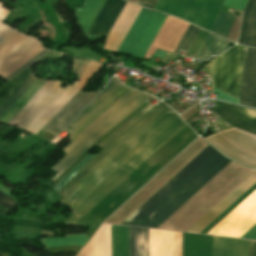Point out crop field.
<instances>
[{
    "label": "crop field",
    "instance_id": "1",
    "mask_svg": "<svg viewBox=\"0 0 256 256\" xmlns=\"http://www.w3.org/2000/svg\"><path fill=\"white\" fill-rule=\"evenodd\" d=\"M169 108L157 113L150 121L138 129L135 133L124 140L118 147H116L108 156H106L100 163L93 167L63 198L61 202H65L70 195L82 184V182L92 174L99 166L114 155L121 147H123L135 135L146 128L159 115L167 111ZM173 114L168 112L163 113L146 129L135 136L123 148H121L114 156H112L106 163L98 168L91 176H89L84 183L72 194V196L65 202V204L72 206L74 201L83 193V191L107 168L114 162L121 158L125 153L137 145L141 140L158 128L162 123L169 119ZM185 124L175 114L137 146L125 154L121 159L114 163L108 170H106L98 179H96L85 192L75 201L71 209L73 213L68 221L69 224H75L81 219L89 210H91L99 201H101L109 192H111L119 183H121L129 174H131L139 165H141L149 156H151L159 147H161L169 138H171L179 129Z\"/></svg>",
    "mask_w": 256,
    "mask_h": 256
},
{
    "label": "crop field",
    "instance_id": "2",
    "mask_svg": "<svg viewBox=\"0 0 256 256\" xmlns=\"http://www.w3.org/2000/svg\"><path fill=\"white\" fill-rule=\"evenodd\" d=\"M229 162L208 145L121 224L157 228Z\"/></svg>",
    "mask_w": 256,
    "mask_h": 256
},
{
    "label": "crop field",
    "instance_id": "3",
    "mask_svg": "<svg viewBox=\"0 0 256 256\" xmlns=\"http://www.w3.org/2000/svg\"><path fill=\"white\" fill-rule=\"evenodd\" d=\"M245 47L237 45L216 57L201 71L210 74L213 86L237 99L240 96ZM241 105L256 107V49L246 47Z\"/></svg>",
    "mask_w": 256,
    "mask_h": 256
},
{
    "label": "crop field",
    "instance_id": "4",
    "mask_svg": "<svg viewBox=\"0 0 256 256\" xmlns=\"http://www.w3.org/2000/svg\"><path fill=\"white\" fill-rule=\"evenodd\" d=\"M149 98L150 96L132 89H130L122 97H120L115 103H113L108 109H106L98 118H96L87 128H85L63 149L67 155L57 165L51 168L58 172L56 176L52 179V181L55 178H57L67 167H69L85 150H87L93 142H95L97 139L103 136L119 121L125 118L128 114H130L132 111L138 108ZM128 100L130 101L127 102ZM124 103L126 104L119 110L118 108L122 106ZM116 109H118L119 111H117L115 114H113L103 123H101ZM98 124L100 125L97 126ZM91 130L93 131L89 133ZM85 135L87 136L78 145H76L69 153H67Z\"/></svg>",
    "mask_w": 256,
    "mask_h": 256
},
{
    "label": "crop field",
    "instance_id": "5",
    "mask_svg": "<svg viewBox=\"0 0 256 256\" xmlns=\"http://www.w3.org/2000/svg\"><path fill=\"white\" fill-rule=\"evenodd\" d=\"M60 83L46 82L7 124L36 134L78 92L68 85L59 88Z\"/></svg>",
    "mask_w": 256,
    "mask_h": 256
},
{
    "label": "crop field",
    "instance_id": "6",
    "mask_svg": "<svg viewBox=\"0 0 256 256\" xmlns=\"http://www.w3.org/2000/svg\"><path fill=\"white\" fill-rule=\"evenodd\" d=\"M42 50L39 41L0 23V76L8 77Z\"/></svg>",
    "mask_w": 256,
    "mask_h": 256
},
{
    "label": "crop field",
    "instance_id": "7",
    "mask_svg": "<svg viewBox=\"0 0 256 256\" xmlns=\"http://www.w3.org/2000/svg\"><path fill=\"white\" fill-rule=\"evenodd\" d=\"M104 1L85 0L83 7H75L77 23L81 25L83 34H88ZM125 4L123 0H106L89 35H108Z\"/></svg>",
    "mask_w": 256,
    "mask_h": 256
},
{
    "label": "crop field",
    "instance_id": "8",
    "mask_svg": "<svg viewBox=\"0 0 256 256\" xmlns=\"http://www.w3.org/2000/svg\"><path fill=\"white\" fill-rule=\"evenodd\" d=\"M223 0H159L156 10L211 30Z\"/></svg>",
    "mask_w": 256,
    "mask_h": 256
},
{
    "label": "crop field",
    "instance_id": "9",
    "mask_svg": "<svg viewBox=\"0 0 256 256\" xmlns=\"http://www.w3.org/2000/svg\"><path fill=\"white\" fill-rule=\"evenodd\" d=\"M166 15L142 8L118 52L143 58Z\"/></svg>",
    "mask_w": 256,
    "mask_h": 256
},
{
    "label": "crop field",
    "instance_id": "10",
    "mask_svg": "<svg viewBox=\"0 0 256 256\" xmlns=\"http://www.w3.org/2000/svg\"><path fill=\"white\" fill-rule=\"evenodd\" d=\"M256 223V190L207 234L240 238ZM241 238L256 239V224Z\"/></svg>",
    "mask_w": 256,
    "mask_h": 256
},
{
    "label": "crop field",
    "instance_id": "11",
    "mask_svg": "<svg viewBox=\"0 0 256 256\" xmlns=\"http://www.w3.org/2000/svg\"><path fill=\"white\" fill-rule=\"evenodd\" d=\"M227 157L256 167V136L235 129L206 139Z\"/></svg>",
    "mask_w": 256,
    "mask_h": 256
},
{
    "label": "crop field",
    "instance_id": "12",
    "mask_svg": "<svg viewBox=\"0 0 256 256\" xmlns=\"http://www.w3.org/2000/svg\"><path fill=\"white\" fill-rule=\"evenodd\" d=\"M166 107L162 102L139 119L135 124L128 128L124 133L118 136L114 141H112L107 147H105L95 158H93L89 163H87L79 172H77L60 190L58 194L65 196V194L98 162H100L106 155H108L117 145H119L124 139L135 132L148 120H150L157 112Z\"/></svg>",
    "mask_w": 256,
    "mask_h": 256
},
{
    "label": "crop field",
    "instance_id": "13",
    "mask_svg": "<svg viewBox=\"0 0 256 256\" xmlns=\"http://www.w3.org/2000/svg\"><path fill=\"white\" fill-rule=\"evenodd\" d=\"M99 92L79 91L42 130L57 135Z\"/></svg>",
    "mask_w": 256,
    "mask_h": 256
},
{
    "label": "crop field",
    "instance_id": "14",
    "mask_svg": "<svg viewBox=\"0 0 256 256\" xmlns=\"http://www.w3.org/2000/svg\"><path fill=\"white\" fill-rule=\"evenodd\" d=\"M149 256H181V233L149 229Z\"/></svg>",
    "mask_w": 256,
    "mask_h": 256
},
{
    "label": "crop field",
    "instance_id": "15",
    "mask_svg": "<svg viewBox=\"0 0 256 256\" xmlns=\"http://www.w3.org/2000/svg\"><path fill=\"white\" fill-rule=\"evenodd\" d=\"M215 113L236 128L256 134V110H250L215 101Z\"/></svg>",
    "mask_w": 256,
    "mask_h": 256
},
{
    "label": "crop field",
    "instance_id": "16",
    "mask_svg": "<svg viewBox=\"0 0 256 256\" xmlns=\"http://www.w3.org/2000/svg\"><path fill=\"white\" fill-rule=\"evenodd\" d=\"M255 182H256V170L252 174H250L243 182H241L235 189H233L226 197H224L217 205H215L208 213H206L200 220H198L187 231L199 233Z\"/></svg>",
    "mask_w": 256,
    "mask_h": 256
},
{
    "label": "crop field",
    "instance_id": "17",
    "mask_svg": "<svg viewBox=\"0 0 256 256\" xmlns=\"http://www.w3.org/2000/svg\"><path fill=\"white\" fill-rule=\"evenodd\" d=\"M140 9L141 6L127 2L122 13L110 31L105 41L104 48L117 52Z\"/></svg>",
    "mask_w": 256,
    "mask_h": 256
},
{
    "label": "crop field",
    "instance_id": "18",
    "mask_svg": "<svg viewBox=\"0 0 256 256\" xmlns=\"http://www.w3.org/2000/svg\"><path fill=\"white\" fill-rule=\"evenodd\" d=\"M76 256H111L110 225L102 224Z\"/></svg>",
    "mask_w": 256,
    "mask_h": 256
},
{
    "label": "crop field",
    "instance_id": "19",
    "mask_svg": "<svg viewBox=\"0 0 256 256\" xmlns=\"http://www.w3.org/2000/svg\"><path fill=\"white\" fill-rule=\"evenodd\" d=\"M238 44L256 48V0H249L244 11Z\"/></svg>",
    "mask_w": 256,
    "mask_h": 256
},
{
    "label": "crop field",
    "instance_id": "20",
    "mask_svg": "<svg viewBox=\"0 0 256 256\" xmlns=\"http://www.w3.org/2000/svg\"><path fill=\"white\" fill-rule=\"evenodd\" d=\"M213 256H247V241L213 236Z\"/></svg>",
    "mask_w": 256,
    "mask_h": 256
},
{
    "label": "crop field",
    "instance_id": "21",
    "mask_svg": "<svg viewBox=\"0 0 256 256\" xmlns=\"http://www.w3.org/2000/svg\"><path fill=\"white\" fill-rule=\"evenodd\" d=\"M129 256H148V229L129 227Z\"/></svg>",
    "mask_w": 256,
    "mask_h": 256
},
{
    "label": "crop field",
    "instance_id": "22",
    "mask_svg": "<svg viewBox=\"0 0 256 256\" xmlns=\"http://www.w3.org/2000/svg\"><path fill=\"white\" fill-rule=\"evenodd\" d=\"M112 256H128V227L111 225Z\"/></svg>",
    "mask_w": 256,
    "mask_h": 256
},
{
    "label": "crop field",
    "instance_id": "23",
    "mask_svg": "<svg viewBox=\"0 0 256 256\" xmlns=\"http://www.w3.org/2000/svg\"><path fill=\"white\" fill-rule=\"evenodd\" d=\"M229 41L208 33L194 59L206 60L210 55L227 49Z\"/></svg>",
    "mask_w": 256,
    "mask_h": 256
},
{
    "label": "crop field",
    "instance_id": "24",
    "mask_svg": "<svg viewBox=\"0 0 256 256\" xmlns=\"http://www.w3.org/2000/svg\"><path fill=\"white\" fill-rule=\"evenodd\" d=\"M129 88L119 85L118 88L103 101L72 133L70 140L89 125L97 116H99L106 108L122 96Z\"/></svg>",
    "mask_w": 256,
    "mask_h": 256
},
{
    "label": "crop field",
    "instance_id": "25",
    "mask_svg": "<svg viewBox=\"0 0 256 256\" xmlns=\"http://www.w3.org/2000/svg\"><path fill=\"white\" fill-rule=\"evenodd\" d=\"M119 83L114 79H110L104 90L65 128L67 132H71L84 118H86Z\"/></svg>",
    "mask_w": 256,
    "mask_h": 256
},
{
    "label": "crop field",
    "instance_id": "26",
    "mask_svg": "<svg viewBox=\"0 0 256 256\" xmlns=\"http://www.w3.org/2000/svg\"><path fill=\"white\" fill-rule=\"evenodd\" d=\"M30 73L31 72L29 68H25L0 89V107L14 93V91L19 87V85L27 78Z\"/></svg>",
    "mask_w": 256,
    "mask_h": 256
},
{
    "label": "crop field",
    "instance_id": "27",
    "mask_svg": "<svg viewBox=\"0 0 256 256\" xmlns=\"http://www.w3.org/2000/svg\"><path fill=\"white\" fill-rule=\"evenodd\" d=\"M84 235H65V237L45 238L41 239L45 247L58 246V245H81L83 246L89 239L83 237Z\"/></svg>",
    "mask_w": 256,
    "mask_h": 256
},
{
    "label": "crop field",
    "instance_id": "28",
    "mask_svg": "<svg viewBox=\"0 0 256 256\" xmlns=\"http://www.w3.org/2000/svg\"><path fill=\"white\" fill-rule=\"evenodd\" d=\"M44 81L37 80L32 86H30L25 93L20 97L17 103L4 115L0 122L6 124L9 119L16 113L15 111L21 106L25 105L31 96L44 84Z\"/></svg>",
    "mask_w": 256,
    "mask_h": 256
},
{
    "label": "crop field",
    "instance_id": "29",
    "mask_svg": "<svg viewBox=\"0 0 256 256\" xmlns=\"http://www.w3.org/2000/svg\"><path fill=\"white\" fill-rule=\"evenodd\" d=\"M235 17V15L220 11L211 31L225 38Z\"/></svg>",
    "mask_w": 256,
    "mask_h": 256
},
{
    "label": "crop field",
    "instance_id": "30",
    "mask_svg": "<svg viewBox=\"0 0 256 256\" xmlns=\"http://www.w3.org/2000/svg\"><path fill=\"white\" fill-rule=\"evenodd\" d=\"M102 64L97 62H91L89 61L81 79L79 82H75L73 84V87L83 91V89L86 87V85L89 83V81L92 79V77L95 75L97 70L100 68Z\"/></svg>",
    "mask_w": 256,
    "mask_h": 256
},
{
    "label": "crop field",
    "instance_id": "31",
    "mask_svg": "<svg viewBox=\"0 0 256 256\" xmlns=\"http://www.w3.org/2000/svg\"><path fill=\"white\" fill-rule=\"evenodd\" d=\"M198 31H199V28L189 24L184 35L179 41L177 47L175 48L174 53L177 54L179 50L187 52L189 46L191 45Z\"/></svg>",
    "mask_w": 256,
    "mask_h": 256
},
{
    "label": "crop field",
    "instance_id": "32",
    "mask_svg": "<svg viewBox=\"0 0 256 256\" xmlns=\"http://www.w3.org/2000/svg\"><path fill=\"white\" fill-rule=\"evenodd\" d=\"M32 74L21 84L13 96L0 108V117L13 105L23 92L36 80Z\"/></svg>",
    "mask_w": 256,
    "mask_h": 256
},
{
    "label": "crop field",
    "instance_id": "33",
    "mask_svg": "<svg viewBox=\"0 0 256 256\" xmlns=\"http://www.w3.org/2000/svg\"><path fill=\"white\" fill-rule=\"evenodd\" d=\"M95 155H87L84 157L54 188L58 191L63 187V185L78 171L80 170L92 157Z\"/></svg>",
    "mask_w": 256,
    "mask_h": 256
},
{
    "label": "crop field",
    "instance_id": "34",
    "mask_svg": "<svg viewBox=\"0 0 256 256\" xmlns=\"http://www.w3.org/2000/svg\"><path fill=\"white\" fill-rule=\"evenodd\" d=\"M206 35H207V32L200 29L198 35L196 36L195 40L193 41L191 47L189 48L187 55L194 57L195 53L197 52L198 48L200 47V45L203 42Z\"/></svg>",
    "mask_w": 256,
    "mask_h": 256
},
{
    "label": "crop field",
    "instance_id": "35",
    "mask_svg": "<svg viewBox=\"0 0 256 256\" xmlns=\"http://www.w3.org/2000/svg\"><path fill=\"white\" fill-rule=\"evenodd\" d=\"M246 2L247 0H225L223 6H227L242 11Z\"/></svg>",
    "mask_w": 256,
    "mask_h": 256
},
{
    "label": "crop field",
    "instance_id": "36",
    "mask_svg": "<svg viewBox=\"0 0 256 256\" xmlns=\"http://www.w3.org/2000/svg\"><path fill=\"white\" fill-rule=\"evenodd\" d=\"M0 204L8 207V208H16L17 203H15L13 200H11L9 197L3 195L2 193H0Z\"/></svg>",
    "mask_w": 256,
    "mask_h": 256
},
{
    "label": "crop field",
    "instance_id": "37",
    "mask_svg": "<svg viewBox=\"0 0 256 256\" xmlns=\"http://www.w3.org/2000/svg\"><path fill=\"white\" fill-rule=\"evenodd\" d=\"M213 91L219 94L217 99H221V100H225V101H229V102H233V103H237V104L239 102L238 100H236V99H234V98H232V97H230V96H228V95H226V94H224V93H222V92H220L216 89H214Z\"/></svg>",
    "mask_w": 256,
    "mask_h": 256
},
{
    "label": "crop field",
    "instance_id": "38",
    "mask_svg": "<svg viewBox=\"0 0 256 256\" xmlns=\"http://www.w3.org/2000/svg\"><path fill=\"white\" fill-rule=\"evenodd\" d=\"M57 54L53 53L51 51H47L46 53H44L42 56H40L38 59H36L34 62H32V64L36 63V62H40L44 59L47 58H56Z\"/></svg>",
    "mask_w": 256,
    "mask_h": 256
},
{
    "label": "crop field",
    "instance_id": "39",
    "mask_svg": "<svg viewBox=\"0 0 256 256\" xmlns=\"http://www.w3.org/2000/svg\"><path fill=\"white\" fill-rule=\"evenodd\" d=\"M248 256H256V242L248 241Z\"/></svg>",
    "mask_w": 256,
    "mask_h": 256
},
{
    "label": "crop field",
    "instance_id": "40",
    "mask_svg": "<svg viewBox=\"0 0 256 256\" xmlns=\"http://www.w3.org/2000/svg\"><path fill=\"white\" fill-rule=\"evenodd\" d=\"M140 1H143V2H146V3H148V4H151V5H156V3H157V1L158 0H140ZM138 2V4H141V5H144V6H147V7H150V8H155L154 6H151V5H148V4H145V3H143V2Z\"/></svg>",
    "mask_w": 256,
    "mask_h": 256
},
{
    "label": "crop field",
    "instance_id": "41",
    "mask_svg": "<svg viewBox=\"0 0 256 256\" xmlns=\"http://www.w3.org/2000/svg\"><path fill=\"white\" fill-rule=\"evenodd\" d=\"M2 4H0V21L2 22L4 17L7 15L9 11L5 10L4 8L1 7Z\"/></svg>",
    "mask_w": 256,
    "mask_h": 256
},
{
    "label": "crop field",
    "instance_id": "42",
    "mask_svg": "<svg viewBox=\"0 0 256 256\" xmlns=\"http://www.w3.org/2000/svg\"><path fill=\"white\" fill-rule=\"evenodd\" d=\"M165 55V52H162V51H160V50H158L155 54H154V56L155 57H159V58H163V56Z\"/></svg>",
    "mask_w": 256,
    "mask_h": 256
},
{
    "label": "crop field",
    "instance_id": "43",
    "mask_svg": "<svg viewBox=\"0 0 256 256\" xmlns=\"http://www.w3.org/2000/svg\"><path fill=\"white\" fill-rule=\"evenodd\" d=\"M8 211V208L0 205V212L3 213V214H6V212Z\"/></svg>",
    "mask_w": 256,
    "mask_h": 256
},
{
    "label": "crop field",
    "instance_id": "44",
    "mask_svg": "<svg viewBox=\"0 0 256 256\" xmlns=\"http://www.w3.org/2000/svg\"><path fill=\"white\" fill-rule=\"evenodd\" d=\"M0 256H7V255H5V254H1V253H0Z\"/></svg>",
    "mask_w": 256,
    "mask_h": 256
},
{
    "label": "crop field",
    "instance_id": "45",
    "mask_svg": "<svg viewBox=\"0 0 256 256\" xmlns=\"http://www.w3.org/2000/svg\"><path fill=\"white\" fill-rule=\"evenodd\" d=\"M0 215H2V214H0Z\"/></svg>",
    "mask_w": 256,
    "mask_h": 256
}]
</instances>
